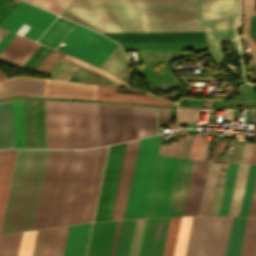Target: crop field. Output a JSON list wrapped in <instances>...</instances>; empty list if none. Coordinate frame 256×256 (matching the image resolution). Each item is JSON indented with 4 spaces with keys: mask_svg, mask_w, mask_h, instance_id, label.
I'll list each match as a JSON object with an SVG mask.
<instances>
[{
    "mask_svg": "<svg viewBox=\"0 0 256 256\" xmlns=\"http://www.w3.org/2000/svg\"><path fill=\"white\" fill-rule=\"evenodd\" d=\"M51 150H18L0 234L35 227Z\"/></svg>",
    "mask_w": 256,
    "mask_h": 256,
    "instance_id": "8a807250",
    "label": "crop field"
},
{
    "mask_svg": "<svg viewBox=\"0 0 256 256\" xmlns=\"http://www.w3.org/2000/svg\"><path fill=\"white\" fill-rule=\"evenodd\" d=\"M47 147L100 145L98 104L45 101Z\"/></svg>",
    "mask_w": 256,
    "mask_h": 256,
    "instance_id": "ac0d7876",
    "label": "crop field"
},
{
    "mask_svg": "<svg viewBox=\"0 0 256 256\" xmlns=\"http://www.w3.org/2000/svg\"><path fill=\"white\" fill-rule=\"evenodd\" d=\"M60 15L98 32L204 31L199 12Z\"/></svg>",
    "mask_w": 256,
    "mask_h": 256,
    "instance_id": "34b2d1b8",
    "label": "crop field"
},
{
    "mask_svg": "<svg viewBox=\"0 0 256 256\" xmlns=\"http://www.w3.org/2000/svg\"><path fill=\"white\" fill-rule=\"evenodd\" d=\"M210 50L223 59L220 40H237L238 0H199Z\"/></svg>",
    "mask_w": 256,
    "mask_h": 256,
    "instance_id": "412701ff",
    "label": "crop field"
},
{
    "mask_svg": "<svg viewBox=\"0 0 256 256\" xmlns=\"http://www.w3.org/2000/svg\"><path fill=\"white\" fill-rule=\"evenodd\" d=\"M232 217L195 216L185 256H224Z\"/></svg>",
    "mask_w": 256,
    "mask_h": 256,
    "instance_id": "f4fd0767",
    "label": "crop field"
},
{
    "mask_svg": "<svg viewBox=\"0 0 256 256\" xmlns=\"http://www.w3.org/2000/svg\"><path fill=\"white\" fill-rule=\"evenodd\" d=\"M160 137L161 135L146 138L139 142L124 219L143 218L144 216Z\"/></svg>",
    "mask_w": 256,
    "mask_h": 256,
    "instance_id": "dd49c442",
    "label": "crop field"
},
{
    "mask_svg": "<svg viewBox=\"0 0 256 256\" xmlns=\"http://www.w3.org/2000/svg\"><path fill=\"white\" fill-rule=\"evenodd\" d=\"M199 11L196 0L73 1L63 13Z\"/></svg>",
    "mask_w": 256,
    "mask_h": 256,
    "instance_id": "e52e79f7",
    "label": "crop field"
},
{
    "mask_svg": "<svg viewBox=\"0 0 256 256\" xmlns=\"http://www.w3.org/2000/svg\"><path fill=\"white\" fill-rule=\"evenodd\" d=\"M91 223L39 230L32 256H84Z\"/></svg>",
    "mask_w": 256,
    "mask_h": 256,
    "instance_id": "d8731c3e",
    "label": "crop field"
},
{
    "mask_svg": "<svg viewBox=\"0 0 256 256\" xmlns=\"http://www.w3.org/2000/svg\"><path fill=\"white\" fill-rule=\"evenodd\" d=\"M96 148L76 150L60 225L81 220Z\"/></svg>",
    "mask_w": 256,
    "mask_h": 256,
    "instance_id": "5a996713",
    "label": "crop field"
},
{
    "mask_svg": "<svg viewBox=\"0 0 256 256\" xmlns=\"http://www.w3.org/2000/svg\"><path fill=\"white\" fill-rule=\"evenodd\" d=\"M62 42L67 43L58 50L76 56L98 67L106 60L118 44L103 35L76 24Z\"/></svg>",
    "mask_w": 256,
    "mask_h": 256,
    "instance_id": "3316defc",
    "label": "crop field"
},
{
    "mask_svg": "<svg viewBox=\"0 0 256 256\" xmlns=\"http://www.w3.org/2000/svg\"><path fill=\"white\" fill-rule=\"evenodd\" d=\"M178 161L157 156L144 218L167 216Z\"/></svg>",
    "mask_w": 256,
    "mask_h": 256,
    "instance_id": "28ad6ade",
    "label": "crop field"
},
{
    "mask_svg": "<svg viewBox=\"0 0 256 256\" xmlns=\"http://www.w3.org/2000/svg\"><path fill=\"white\" fill-rule=\"evenodd\" d=\"M101 145L133 139L131 106L99 104Z\"/></svg>",
    "mask_w": 256,
    "mask_h": 256,
    "instance_id": "d1516ede",
    "label": "crop field"
},
{
    "mask_svg": "<svg viewBox=\"0 0 256 256\" xmlns=\"http://www.w3.org/2000/svg\"><path fill=\"white\" fill-rule=\"evenodd\" d=\"M125 145L110 146L94 220L111 217Z\"/></svg>",
    "mask_w": 256,
    "mask_h": 256,
    "instance_id": "22f410ed",
    "label": "crop field"
},
{
    "mask_svg": "<svg viewBox=\"0 0 256 256\" xmlns=\"http://www.w3.org/2000/svg\"><path fill=\"white\" fill-rule=\"evenodd\" d=\"M75 150H62L46 227L60 223Z\"/></svg>",
    "mask_w": 256,
    "mask_h": 256,
    "instance_id": "cbeb9de0",
    "label": "crop field"
},
{
    "mask_svg": "<svg viewBox=\"0 0 256 256\" xmlns=\"http://www.w3.org/2000/svg\"><path fill=\"white\" fill-rule=\"evenodd\" d=\"M138 141L127 143L111 219H123Z\"/></svg>",
    "mask_w": 256,
    "mask_h": 256,
    "instance_id": "5142ce71",
    "label": "crop field"
},
{
    "mask_svg": "<svg viewBox=\"0 0 256 256\" xmlns=\"http://www.w3.org/2000/svg\"><path fill=\"white\" fill-rule=\"evenodd\" d=\"M208 165L194 160L182 215L198 214Z\"/></svg>",
    "mask_w": 256,
    "mask_h": 256,
    "instance_id": "d9b57169",
    "label": "crop field"
},
{
    "mask_svg": "<svg viewBox=\"0 0 256 256\" xmlns=\"http://www.w3.org/2000/svg\"><path fill=\"white\" fill-rule=\"evenodd\" d=\"M45 79L14 77L0 82V98L12 95L43 96Z\"/></svg>",
    "mask_w": 256,
    "mask_h": 256,
    "instance_id": "733c2abd",
    "label": "crop field"
},
{
    "mask_svg": "<svg viewBox=\"0 0 256 256\" xmlns=\"http://www.w3.org/2000/svg\"><path fill=\"white\" fill-rule=\"evenodd\" d=\"M169 220L149 219L141 256H162Z\"/></svg>",
    "mask_w": 256,
    "mask_h": 256,
    "instance_id": "4a817a6b",
    "label": "crop field"
},
{
    "mask_svg": "<svg viewBox=\"0 0 256 256\" xmlns=\"http://www.w3.org/2000/svg\"><path fill=\"white\" fill-rule=\"evenodd\" d=\"M117 221L94 222L87 256H109Z\"/></svg>",
    "mask_w": 256,
    "mask_h": 256,
    "instance_id": "bc2a9ffb",
    "label": "crop field"
},
{
    "mask_svg": "<svg viewBox=\"0 0 256 256\" xmlns=\"http://www.w3.org/2000/svg\"><path fill=\"white\" fill-rule=\"evenodd\" d=\"M96 92L93 85L47 80L44 96L96 99Z\"/></svg>",
    "mask_w": 256,
    "mask_h": 256,
    "instance_id": "214f88e0",
    "label": "crop field"
},
{
    "mask_svg": "<svg viewBox=\"0 0 256 256\" xmlns=\"http://www.w3.org/2000/svg\"><path fill=\"white\" fill-rule=\"evenodd\" d=\"M107 147L97 148L81 222L92 221Z\"/></svg>",
    "mask_w": 256,
    "mask_h": 256,
    "instance_id": "92a150f3",
    "label": "crop field"
},
{
    "mask_svg": "<svg viewBox=\"0 0 256 256\" xmlns=\"http://www.w3.org/2000/svg\"><path fill=\"white\" fill-rule=\"evenodd\" d=\"M115 41L206 39L204 32L103 33Z\"/></svg>",
    "mask_w": 256,
    "mask_h": 256,
    "instance_id": "dafd665d",
    "label": "crop field"
},
{
    "mask_svg": "<svg viewBox=\"0 0 256 256\" xmlns=\"http://www.w3.org/2000/svg\"><path fill=\"white\" fill-rule=\"evenodd\" d=\"M124 50L208 49L206 40L119 42Z\"/></svg>",
    "mask_w": 256,
    "mask_h": 256,
    "instance_id": "00972430",
    "label": "crop field"
},
{
    "mask_svg": "<svg viewBox=\"0 0 256 256\" xmlns=\"http://www.w3.org/2000/svg\"><path fill=\"white\" fill-rule=\"evenodd\" d=\"M56 16L36 6H31L11 32L15 33L22 23L31 26L24 36L37 40Z\"/></svg>",
    "mask_w": 256,
    "mask_h": 256,
    "instance_id": "a9b5d70f",
    "label": "crop field"
},
{
    "mask_svg": "<svg viewBox=\"0 0 256 256\" xmlns=\"http://www.w3.org/2000/svg\"><path fill=\"white\" fill-rule=\"evenodd\" d=\"M193 160L180 159L168 216L181 215Z\"/></svg>",
    "mask_w": 256,
    "mask_h": 256,
    "instance_id": "4177f3b9",
    "label": "crop field"
},
{
    "mask_svg": "<svg viewBox=\"0 0 256 256\" xmlns=\"http://www.w3.org/2000/svg\"><path fill=\"white\" fill-rule=\"evenodd\" d=\"M61 150H52L49 161L48 171L46 175L44 190L42 194L41 204L39 208L38 218L36 222L37 228H43L46 225L48 210L50 206L56 171L58 167Z\"/></svg>",
    "mask_w": 256,
    "mask_h": 256,
    "instance_id": "730fd06b",
    "label": "crop field"
},
{
    "mask_svg": "<svg viewBox=\"0 0 256 256\" xmlns=\"http://www.w3.org/2000/svg\"><path fill=\"white\" fill-rule=\"evenodd\" d=\"M39 45L40 43L16 35L1 51L0 59L21 66Z\"/></svg>",
    "mask_w": 256,
    "mask_h": 256,
    "instance_id": "eef30255",
    "label": "crop field"
},
{
    "mask_svg": "<svg viewBox=\"0 0 256 256\" xmlns=\"http://www.w3.org/2000/svg\"><path fill=\"white\" fill-rule=\"evenodd\" d=\"M17 150L0 151V227Z\"/></svg>",
    "mask_w": 256,
    "mask_h": 256,
    "instance_id": "ae1a2a85",
    "label": "crop field"
},
{
    "mask_svg": "<svg viewBox=\"0 0 256 256\" xmlns=\"http://www.w3.org/2000/svg\"><path fill=\"white\" fill-rule=\"evenodd\" d=\"M134 139L157 133L155 108L132 106Z\"/></svg>",
    "mask_w": 256,
    "mask_h": 256,
    "instance_id": "d3111659",
    "label": "crop field"
},
{
    "mask_svg": "<svg viewBox=\"0 0 256 256\" xmlns=\"http://www.w3.org/2000/svg\"><path fill=\"white\" fill-rule=\"evenodd\" d=\"M14 147L12 100L0 102V148Z\"/></svg>",
    "mask_w": 256,
    "mask_h": 256,
    "instance_id": "750c4746",
    "label": "crop field"
},
{
    "mask_svg": "<svg viewBox=\"0 0 256 256\" xmlns=\"http://www.w3.org/2000/svg\"><path fill=\"white\" fill-rule=\"evenodd\" d=\"M115 88H117V87L98 86L97 99L157 103V104L169 105L168 103H166L156 97L150 96L148 94H145V95L120 94L115 91Z\"/></svg>",
    "mask_w": 256,
    "mask_h": 256,
    "instance_id": "bd1437ed",
    "label": "crop field"
},
{
    "mask_svg": "<svg viewBox=\"0 0 256 256\" xmlns=\"http://www.w3.org/2000/svg\"><path fill=\"white\" fill-rule=\"evenodd\" d=\"M75 23L59 17L39 39L40 43L55 48Z\"/></svg>",
    "mask_w": 256,
    "mask_h": 256,
    "instance_id": "1d83c4d3",
    "label": "crop field"
},
{
    "mask_svg": "<svg viewBox=\"0 0 256 256\" xmlns=\"http://www.w3.org/2000/svg\"><path fill=\"white\" fill-rule=\"evenodd\" d=\"M247 218L233 217L225 256H239Z\"/></svg>",
    "mask_w": 256,
    "mask_h": 256,
    "instance_id": "120bbe31",
    "label": "crop field"
},
{
    "mask_svg": "<svg viewBox=\"0 0 256 256\" xmlns=\"http://www.w3.org/2000/svg\"><path fill=\"white\" fill-rule=\"evenodd\" d=\"M249 164H239L228 215L238 216Z\"/></svg>",
    "mask_w": 256,
    "mask_h": 256,
    "instance_id": "d32e631a",
    "label": "crop field"
},
{
    "mask_svg": "<svg viewBox=\"0 0 256 256\" xmlns=\"http://www.w3.org/2000/svg\"><path fill=\"white\" fill-rule=\"evenodd\" d=\"M148 219L134 220L127 256H140Z\"/></svg>",
    "mask_w": 256,
    "mask_h": 256,
    "instance_id": "5866460e",
    "label": "crop field"
},
{
    "mask_svg": "<svg viewBox=\"0 0 256 256\" xmlns=\"http://www.w3.org/2000/svg\"><path fill=\"white\" fill-rule=\"evenodd\" d=\"M251 15H256V2L255 0H244V27L242 35L250 46L252 57L256 64V45L249 35Z\"/></svg>",
    "mask_w": 256,
    "mask_h": 256,
    "instance_id": "028f5c9d",
    "label": "crop field"
},
{
    "mask_svg": "<svg viewBox=\"0 0 256 256\" xmlns=\"http://www.w3.org/2000/svg\"><path fill=\"white\" fill-rule=\"evenodd\" d=\"M256 177V165L250 164L239 216H248Z\"/></svg>",
    "mask_w": 256,
    "mask_h": 256,
    "instance_id": "e1f06a70",
    "label": "crop field"
},
{
    "mask_svg": "<svg viewBox=\"0 0 256 256\" xmlns=\"http://www.w3.org/2000/svg\"><path fill=\"white\" fill-rule=\"evenodd\" d=\"M15 147H24L22 99L13 100Z\"/></svg>",
    "mask_w": 256,
    "mask_h": 256,
    "instance_id": "0bd39190",
    "label": "crop field"
},
{
    "mask_svg": "<svg viewBox=\"0 0 256 256\" xmlns=\"http://www.w3.org/2000/svg\"><path fill=\"white\" fill-rule=\"evenodd\" d=\"M256 244V218H248L240 256H253Z\"/></svg>",
    "mask_w": 256,
    "mask_h": 256,
    "instance_id": "b80d0937",
    "label": "crop field"
},
{
    "mask_svg": "<svg viewBox=\"0 0 256 256\" xmlns=\"http://www.w3.org/2000/svg\"><path fill=\"white\" fill-rule=\"evenodd\" d=\"M238 164L230 163L219 215H227Z\"/></svg>",
    "mask_w": 256,
    "mask_h": 256,
    "instance_id": "c035e120",
    "label": "crop field"
},
{
    "mask_svg": "<svg viewBox=\"0 0 256 256\" xmlns=\"http://www.w3.org/2000/svg\"><path fill=\"white\" fill-rule=\"evenodd\" d=\"M219 163H211L200 214L208 215Z\"/></svg>",
    "mask_w": 256,
    "mask_h": 256,
    "instance_id": "c21b1889",
    "label": "crop field"
},
{
    "mask_svg": "<svg viewBox=\"0 0 256 256\" xmlns=\"http://www.w3.org/2000/svg\"><path fill=\"white\" fill-rule=\"evenodd\" d=\"M133 220L122 221L114 256H126Z\"/></svg>",
    "mask_w": 256,
    "mask_h": 256,
    "instance_id": "03da06ac",
    "label": "crop field"
},
{
    "mask_svg": "<svg viewBox=\"0 0 256 256\" xmlns=\"http://www.w3.org/2000/svg\"><path fill=\"white\" fill-rule=\"evenodd\" d=\"M21 233L0 236V256H17Z\"/></svg>",
    "mask_w": 256,
    "mask_h": 256,
    "instance_id": "b54c1fbb",
    "label": "crop field"
},
{
    "mask_svg": "<svg viewBox=\"0 0 256 256\" xmlns=\"http://www.w3.org/2000/svg\"><path fill=\"white\" fill-rule=\"evenodd\" d=\"M181 217L171 218L163 256H173Z\"/></svg>",
    "mask_w": 256,
    "mask_h": 256,
    "instance_id": "5d738f31",
    "label": "crop field"
},
{
    "mask_svg": "<svg viewBox=\"0 0 256 256\" xmlns=\"http://www.w3.org/2000/svg\"><path fill=\"white\" fill-rule=\"evenodd\" d=\"M192 217H182L174 256H184Z\"/></svg>",
    "mask_w": 256,
    "mask_h": 256,
    "instance_id": "d23c7cc5",
    "label": "crop field"
},
{
    "mask_svg": "<svg viewBox=\"0 0 256 256\" xmlns=\"http://www.w3.org/2000/svg\"><path fill=\"white\" fill-rule=\"evenodd\" d=\"M30 6L31 4L21 1L11 14L3 21L0 27L10 31Z\"/></svg>",
    "mask_w": 256,
    "mask_h": 256,
    "instance_id": "425ffa30",
    "label": "crop field"
},
{
    "mask_svg": "<svg viewBox=\"0 0 256 256\" xmlns=\"http://www.w3.org/2000/svg\"><path fill=\"white\" fill-rule=\"evenodd\" d=\"M64 56L65 54L53 49L35 70L50 73Z\"/></svg>",
    "mask_w": 256,
    "mask_h": 256,
    "instance_id": "25e5ab78",
    "label": "crop field"
},
{
    "mask_svg": "<svg viewBox=\"0 0 256 256\" xmlns=\"http://www.w3.org/2000/svg\"><path fill=\"white\" fill-rule=\"evenodd\" d=\"M51 50L52 48L41 44L37 50L26 60L22 67L34 70Z\"/></svg>",
    "mask_w": 256,
    "mask_h": 256,
    "instance_id": "73cf0c24",
    "label": "crop field"
},
{
    "mask_svg": "<svg viewBox=\"0 0 256 256\" xmlns=\"http://www.w3.org/2000/svg\"><path fill=\"white\" fill-rule=\"evenodd\" d=\"M70 2L71 0H33L32 1V3L38 6H41L47 10H50L56 14H60Z\"/></svg>",
    "mask_w": 256,
    "mask_h": 256,
    "instance_id": "89e229c0",
    "label": "crop field"
},
{
    "mask_svg": "<svg viewBox=\"0 0 256 256\" xmlns=\"http://www.w3.org/2000/svg\"><path fill=\"white\" fill-rule=\"evenodd\" d=\"M35 233L36 231L22 233L18 256H31Z\"/></svg>",
    "mask_w": 256,
    "mask_h": 256,
    "instance_id": "1f2cbd36",
    "label": "crop field"
},
{
    "mask_svg": "<svg viewBox=\"0 0 256 256\" xmlns=\"http://www.w3.org/2000/svg\"><path fill=\"white\" fill-rule=\"evenodd\" d=\"M70 56H71V55H70ZM70 56L66 55V56L64 57V59L69 60V61H72L73 63H75V64H77V65H79V66H82V67H84V68H86V69H88V70H90V71L95 72V73L101 74V75H103V76H105V77H107V78H109V79L114 80L115 82H117V83H119V84H121V85L126 86V82H125V81H123V80H121V79H119V78H117V77H115V76H113V75H111V74H109V73H107V72H105V71H103V70H101V69L95 67V66H92V65H90V64H87V63H85V62H83V61H80V60H78V59H76V58H73V57H70Z\"/></svg>",
    "mask_w": 256,
    "mask_h": 256,
    "instance_id": "dbb93151",
    "label": "crop field"
},
{
    "mask_svg": "<svg viewBox=\"0 0 256 256\" xmlns=\"http://www.w3.org/2000/svg\"><path fill=\"white\" fill-rule=\"evenodd\" d=\"M183 138L178 142L171 141V146L160 145L158 154L180 157Z\"/></svg>",
    "mask_w": 256,
    "mask_h": 256,
    "instance_id": "0fb4a251",
    "label": "crop field"
},
{
    "mask_svg": "<svg viewBox=\"0 0 256 256\" xmlns=\"http://www.w3.org/2000/svg\"><path fill=\"white\" fill-rule=\"evenodd\" d=\"M198 118V109H180L178 124H195Z\"/></svg>",
    "mask_w": 256,
    "mask_h": 256,
    "instance_id": "1d79db26",
    "label": "crop field"
},
{
    "mask_svg": "<svg viewBox=\"0 0 256 256\" xmlns=\"http://www.w3.org/2000/svg\"><path fill=\"white\" fill-rule=\"evenodd\" d=\"M204 142L205 138L194 137L189 158L201 160Z\"/></svg>",
    "mask_w": 256,
    "mask_h": 256,
    "instance_id": "9d1cf04e",
    "label": "crop field"
},
{
    "mask_svg": "<svg viewBox=\"0 0 256 256\" xmlns=\"http://www.w3.org/2000/svg\"><path fill=\"white\" fill-rule=\"evenodd\" d=\"M10 1L12 2L8 4ZM19 2L20 0H0V24Z\"/></svg>",
    "mask_w": 256,
    "mask_h": 256,
    "instance_id": "447ae74e",
    "label": "crop field"
},
{
    "mask_svg": "<svg viewBox=\"0 0 256 256\" xmlns=\"http://www.w3.org/2000/svg\"><path fill=\"white\" fill-rule=\"evenodd\" d=\"M157 127L161 124V109H156ZM170 110L165 109V123H169ZM162 124H164V109H162ZM159 133V131H158Z\"/></svg>",
    "mask_w": 256,
    "mask_h": 256,
    "instance_id": "0765c3eb",
    "label": "crop field"
},
{
    "mask_svg": "<svg viewBox=\"0 0 256 256\" xmlns=\"http://www.w3.org/2000/svg\"><path fill=\"white\" fill-rule=\"evenodd\" d=\"M252 144L244 143L240 162L248 163Z\"/></svg>",
    "mask_w": 256,
    "mask_h": 256,
    "instance_id": "db79e9e6",
    "label": "crop field"
},
{
    "mask_svg": "<svg viewBox=\"0 0 256 256\" xmlns=\"http://www.w3.org/2000/svg\"><path fill=\"white\" fill-rule=\"evenodd\" d=\"M190 139H191L190 133H186L181 157L187 158L189 145H190Z\"/></svg>",
    "mask_w": 256,
    "mask_h": 256,
    "instance_id": "7b73153f",
    "label": "crop field"
},
{
    "mask_svg": "<svg viewBox=\"0 0 256 256\" xmlns=\"http://www.w3.org/2000/svg\"><path fill=\"white\" fill-rule=\"evenodd\" d=\"M15 34L7 32L4 37L0 40V51L11 41Z\"/></svg>",
    "mask_w": 256,
    "mask_h": 256,
    "instance_id": "78b8030e",
    "label": "crop field"
},
{
    "mask_svg": "<svg viewBox=\"0 0 256 256\" xmlns=\"http://www.w3.org/2000/svg\"><path fill=\"white\" fill-rule=\"evenodd\" d=\"M249 216H256V183H255V188H254V193H253L252 204H251Z\"/></svg>",
    "mask_w": 256,
    "mask_h": 256,
    "instance_id": "0f1d7ab4",
    "label": "crop field"
},
{
    "mask_svg": "<svg viewBox=\"0 0 256 256\" xmlns=\"http://www.w3.org/2000/svg\"><path fill=\"white\" fill-rule=\"evenodd\" d=\"M225 143H226V141H223V142L217 141L213 158H215L222 151Z\"/></svg>",
    "mask_w": 256,
    "mask_h": 256,
    "instance_id": "e1d0b9f6",
    "label": "crop field"
},
{
    "mask_svg": "<svg viewBox=\"0 0 256 256\" xmlns=\"http://www.w3.org/2000/svg\"><path fill=\"white\" fill-rule=\"evenodd\" d=\"M120 223H121V221H118V223H117L115 237H114L113 246H112V250H111V255L110 256H113V254H114V250H115V245H116V241H117V236H118V232H119Z\"/></svg>",
    "mask_w": 256,
    "mask_h": 256,
    "instance_id": "ae633e8c",
    "label": "crop field"
},
{
    "mask_svg": "<svg viewBox=\"0 0 256 256\" xmlns=\"http://www.w3.org/2000/svg\"><path fill=\"white\" fill-rule=\"evenodd\" d=\"M249 163H256V144H253Z\"/></svg>",
    "mask_w": 256,
    "mask_h": 256,
    "instance_id": "d14b1444",
    "label": "crop field"
},
{
    "mask_svg": "<svg viewBox=\"0 0 256 256\" xmlns=\"http://www.w3.org/2000/svg\"><path fill=\"white\" fill-rule=\"evenodd\" d=\"M209 146H210V144L205 143L204 153H203V158H202V160H205V161H206L207 155H208Z\"/></svg>",
    "mask_w": 256,
    "mask_h": 256,
    "instance_id": "c39391a2",
    "label": "crop field"
},
{
    "mask_svg": "<svg viewBox=\"0 0 256 256\" xmlns=\"http://www.w3.org/2000/svg\"><path fill=\"white\" fill-rule=\"evenodd\" d=\"M7 31L4 29H0V39L2 38V36L6 33Z\"/></svg>",
    "mask_w": 256,
    "mask_h": 256,
    "instance_id": "ade564c9",
    "label": "crop field"
},
{
    "mask_svg": "<svg viewBox=\"0 0 256 256\" xmlns=\"http://www.w3.org/2000/svg\"><path fill=\"white\" fill-rule=\"evenodd\" d=\"M6 79L3 75L0 74V81Z\"/></svg>",
    "mask_w": 256,
    "mask_h": 256,
    "instance_id": "c5b07064",
    "label": "crop field"
},
{
    "mask_svg": "<svg viewBox=\"0 0 256 256\" xmlns=\"http://www.w3.org/2000/svg\"><path fill=\"white\" fill-rule=\"evenodd\" d=\"M226 112H227V110H224V117H226Z\"/></svg>",
    "mask_w": 256,
    "mask_h": 256,
    "instance_id": "c3a83c6f",
    "label": "crop field"
},
{
    "mask_svg": "<svg viewBox=\"0 0 256 256\" xmlns=\"http://www.w3.org/2000/svg\"><path fill=\"white\" fill-rule=\"evenodd\" d=\"M228 118H230V111H229V114H228Z\"/></svg>",
    "mask_w": 256,
    "mask_h": 256,
    "instance_id": "fb207236",
    "label": "crop field"
},
{
    "mask_svg": "<svg viewBox=\"0 0 256 256\" xmlns=\"http://www.w3.org/2000/svg\"><path fill=\"white\" fill-rule=\"evenodd\" d=\"M254 256H256V249H255V254H254Z\"/></svg>",
    "mask_w": 256,
    "mask_h": 256,
    "instance_id": "7312dd0a",
    "label": "crop field"
},
{
    "mask_svg": "<svg viewBox=\"0 0 256 256\" xmlns=\"http://www.w3.org/2000/svg\"><path fill=\"white\" fill-rule=\"evenodd\" d=\"M1 74H3L2 72H0ZM4 75V74H3ZM5 76V75H4ZM6 77V76H5ZM7 78V77H6Z\"/></svg>",
    "mask_w": 256,
    "mask_h": 256,
    "instance_id": "180be81f",
    "label": "crop field"
},
{
    "mask_svg": "<svg viewBox=\"0 0 256 256\" xmlns=\"http://www.w3.org/2000/svg\"><path fill=\"white\" fill-rule=\"evenodd\" d=\"M27 1L31 2L32 0H27Z\"/></svg>",
    "mask_w": 256,
    "mask_h": 256,
    "instance_id": "f0312440",
    "label": "crop field"
}]
</instances>
